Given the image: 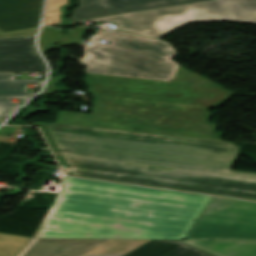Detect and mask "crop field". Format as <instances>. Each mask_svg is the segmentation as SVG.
Instances as JSON below:
<instances>
[{
    "label": "crop field",
    "instance_id": "obj_4",
    "mask_svg": "<svg viewBox=\"0 0 256 256\" xmlns=\"http://www.w3.org/2000/svg\"><path fill=\"white\" fill-rule=\"evenodd\" d=\"M107 21L121 30L160 38L189 21H233L256 24V0H209L73 22Z\"/></svg>",
    "mask_w": 256,
    "mask_h": 256
},
{
    "label": "crop field",
    "instance_id": "obj_2",
    "mask_svg": "<svg viewBox=\"0 0 256 256\" xmlns=\"http://www.w3.org/2000/svg\"><path fill=\"white\" fill-rule=\"evenodd\" d=\"M210 199L65 177L35 238L184 239Z\"/></svg>",
    "mask_w": 256,
    "mask_h": 256
},
{
    "label": "crop field",
    "instance_id": "obj_7",
    "mask_svg": "<svg viewBox=\"0 0 256 256\" xmlns=\"http://www.w3.org/2000/svg\"><path fill=\"white\" fill-rule=\"evenodd\" d=\"M196 1L202 0H80V6L73 10L71 18L78 21Z\"/></svg>",
    "mask_w": 256,
    "mask_h": 256
},
{
    "label": "crop field",
    "instance_id": "obj_9",
    "mask_svg": "<svg viewBox=\"0 0 256 256\" xmlns=\"http://www.w3.org/2000/svg\"><path fill=\"white\" fill-rule=\"evenodd\" d=\"M43 0H0V30L2 32L35 27Z\"/></svg>",
    "mask_w": 256,
    "mask_h": 256
},
{
    "label": "crop field",
    "instance_id": "obj_19",
    "mask_svg": "<svg viewBox=\"0 0 256 256\" xmlns=\"http://www.w3.org/2000/svg\"><path fill=\"white\" fill-rule=\"evenodd\" d=\"M4 120H5V119H3V118H0V123H1V122H3Z\"/></svg>",
    "mask_w": 256,
    "mask_h": 256
},
{
    "label": "crop field",
    "instance_id": "obj_20",
    "mask_svg": "<svg viewBox=\"0 0 256 256\" xmlns=\"http://www.w3.org/2000/svg\"><path fill=\"white\" fill-rule=\"evenodd\" d=\"M256 256V255H255Z\"/></svg>",
    "mask_w": 256,
    "mask_h": 256
},
{
    "label": "crop field",
    "instance_id": "obj_6",
    "mask_svg": "<svg viewBox=\"0 0 256 256\" xmlns=\"http://www.w3.org/2000/svg\"><path fill=\"white\" fill-rule=\"evenodd\" d=\"M146 241L33 239L18 256H121Z\"/></svg>",
    "mask_w": 256,
    "mask_h": 256
},
{
    "label": "crop field",
    "instance_id": "obj_3",
    "mask_svg": "<svg viewBox=\"0 0 256 256\" xmlns=\"http://www.w3.org/2000/svg\"><path fill=\"white\" fill-rule=\"evenodd\" d=\"M95 38L111 42L106 45L93 39L80 61L86 72L172 81L179 64L171 61L177 55L160 41L124 32L101 30Z\"/></svg>",
    "mask_w": 256,
    "mask_h": 256
},
{
    "label": "crop field",
    "instance_id": "obj_18",
    "mask_svg": "<svg viewBox=\"0 0 256 256\" xmlns=\"http://www.w3.org/2000/svg\"><path fill=\"white\" fill-rule=\"evenodd\" d=\"M54 23H60V20L58 17H45L43 25L54 24Z\"/></svg>",
    "mask_w": 256,
    "mask_h": 256
},
{
    "label": "crop field",
    "instance_id": "obj_12",
    "mask_svg": "<svg viewBox=\"0 0 256 256\" xmlns=\"http://www.w3.org/2000/svg\"><path fill=\"white\" fill-rule=\"evenodd\" d=\"M216 256H252L256 242L180 240Z\"/></svg>",
    "mask_w": 256,
    "mask_h": 256
},
{
    "label": "crop field",
    "instance_id": "obj_13",
    "mask_svg": "<svg viewBox=\"0 0 256 256\" xmlns=\"http://www.w3.org/2000/svg\"><path fill=\"white\" fill-rule=\"evenodd\" d=\"M31 240L30 238L0 234V256H17Z\"/></svg>",
    "mask_w": 256,
    "mask_h": 256
},
{
    "label": "crop field",
    "instance_id": "obj_1",
    "mask_svg": "<svg viewBox=\"0 0 256 256\" xmlns=\"http://www.w3.org/2000/svg\"><path fill=\"white\" fill-rule=\"evenodd\" d=\"M33 125L43 130L68 176L256 201V174L229 170L237 155V147L230 142L40 122Z\"/></svg>",
    "mask_w": 256,
    "mask_h": 256
},
{
    "label": "crop field",
    "instance_id": "obj_8",
    "mask_svg": "<svg viewBox=\"0 0 256 256\" xmlns=\"http://www.w3.org/2000/svg\"><path fill=\"white\" fill-rule=\"evenodd\" d=\"M0 71H46L34 49V37L0 39Z\"/></svg>",
    "mask_w": 256,
    "mask_h": 256
},
{
    "label": "crop field",
    "instance_id": "obj_17",
    "mask_svg": "<svg viewBox=\"0 0 256 256\" xmlns=\"http://www.w3.org/2000/svg\"><path fill=\"white\" fill-rule=\"evenodd\" d=\"M36 29H37V27L24 29V30L13 31V32H7V33H2L0 31V37L1 36H17V35H35Z\"/></svg>",
    "mask_w": 256,
    "mask_h": 256
},
{
    "label": "crop field",
    "instance_id": "obj_5",
    "mask_svg": "<svg viewBox=\"0 0 256 256\" xmlns=\"http://www.w3.org/2000/svg\"><path fill=\"white\" fill-rule=\"evenodd\" d=\"M185 239L256 241V202L212 197Z\"/></svg>",
    "mask_w": 256,
    "mask_h": 256
},
{
    "label": "crop field",
    "instance_id": "obj_10",
    "mask_svg": "<svg viewBox=\"0 0 256 256\" xmlns=\"http://www.w3.org/2000/svg\"><path fill=\"white\" fill-rule=\"evenodd\" d=\"M15 74L0 73V96L31 97L34 94L26 92L28 84H42L44 80H14ZM27 98L17 99L12 103L10 98H0V117L8 118Z\"/></svg>",
    "mask_w": 256,
    "mask_h": 256
},
{
    "label": "crop field",
    "instance_id": "obj_14",
    "mask_svg": "<svg viewBox=\"0 0 256 256\" xmlns=\"http://www.w3.org/2000/svg\"><path fill=\"white\" fill-rule=\"evenodd\" d=\"M58 31L59 30H56V29H48V28L42 29V32L39 38V45L42 51L51 49V47H49L47 44L55 41Z\"/></svg>",
    "mask_w": 256,
    "mask_h": 256
},
{
    "label": "crop field",
    "instance_id": "obj_15",
    "mask_svg": "<svg viewBox=\"0 0 256 256\" xmlns=\"http://www.w3.org/2000/svg\"><path fill=\"white\" fill-rule=\"evenodd\" d=\"M86 28L87 27L75 28V30L70 35H65L62 38L61 44L58 46L61 47V46L70 45V44H74V45L79 44L82 40L81 37Z\"/></svg>",
    "mask_w": 256,
    "mask_h": 256
},
{
    "label": "crop field",
    "instance_id": "obj_16",
    "mask_svg": "<svg viewBox=\"0 0 256 256\" xmlns=\"http://www.w3.org/2000/svg\"><path fill=\"white\" fill-rule=\"evenodd\" d=\"M67 3V0H48L45 16H60L59 6Z\"/></svg>",
    "mask_w": 256,
    "mask_h": 256
},
{
    "label": "crop field",
    "instance_id": "obj_11",
    "mask_svg": "<svg viewBox=\"0 0 256 256\" xmlns=\"http://www.w3.org/2000/svg\"><path fill=\"white\" fill-rule=\"evenodd\" d=\"M126 256H213L178 240H151Z\"/></svg>",
    "mask_w": 256,
    "mask_h": 256
}]
</instances>
